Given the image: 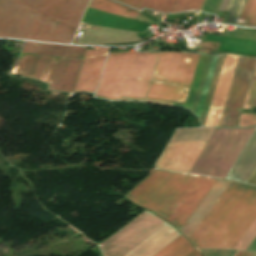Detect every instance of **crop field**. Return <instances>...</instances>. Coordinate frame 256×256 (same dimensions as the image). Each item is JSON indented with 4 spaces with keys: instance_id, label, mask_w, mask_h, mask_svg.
Instances as JSON below:
<instances>
[{
    "instance_id": "4a817a6b",
    "label": "crop field",
    "mask_w": 256,
    "mask_h": 256,
    "mask_svg": "<svg viewBox=\"0 0 256 256\" xmlns=\"http://www.w3.org/2000/svg\"><path fill=\"white\" fill-rule=\"evenodd\" d=\"M89 7L133 19H135L139 14L137 11L126 8L109 0H92Z\"/></svg>"
},
{
    "instance_id": "733c2abd",
    "label": "crop field",
    "mask_w": 256,
    "mask_h": 256,
    "mask_svg": "<svg viewBox=\"0 0 256 256\" xmlns=\"http://www.w3.org/2000/svg\"><path fill=\"white\" fill-rule=\"evenodd\" d=\"M214 131L208 128L177 130L171 142L208 141Z\"/></svg>"
},
{
    "instance_id": "4177f3b9",
    "label": "crop field",
    "mask_w": 256,
    "mask_h": 256,
    "mask_svg": "<svg viewBox=\"0 0 256 256\" xmlns=\"http://www.w3.org/2000/svg\"><path fill=\"white\" fill-rule=\"evenodd\" d=\"M256 125V114H241L237 127Z\"/></svg>"
},
{
    "instance_id": "5142ce71",
    "label": "crop field",
    "mask_w": 256,
    "mask_h": 256,
    "mask_svg": "<svg viewBox=\"0 0 256 256\" xmlns=\"http://www.w3.org/2000/svg\"><path fill=\"white\" fill-rule=\"evenodd\" d=\"M179 235L181 234L168 224L126 256H153Z\"/></svg>"
},
{
    "instance_id": "412701ff",
    "label": "crop field",
    "mask_w": 256,
    "mask_h": 256,
    "mask_svg": "<svg viewBox=\"0 0 256 256\" xmlns=\"http://www.w3.org/2000/svg\"><path fill=\"white\" fill-rule=\"evenodd\" d=\"M256 218V187L231 182L189 238L198 248L233 249Z\"/></svg>"
},
{
    "instance_id": "22f410ed",
    "label": "crop field",
    "mask_w": 256,
    "mask_h": 256,
    "mask_svg": "<svg viewBox=\"0 0 256 256\" xmlns=\"http://www.w3.org/2000/svg\"><path fill=\"white\" fill-rule=\"evenodd\" d=\"M256 168V129L235 161L226 178L247 183Z\"/></svg>"
},
{
    "instance_id": "d8731c3e",
    "label": "crop field",
    "mask_w": 256,
    "mask_h": 256,
    "mask_svg": "<svg viewBox=\"0 0 256 256\" xmlns=\"http://www.w3.org/2000/svg\"><path fill=\"white\" fill-rule=\"evenodd\" d=\"M224 56L225 55L220 56L219 58L218 57H213L212 58L210 56L207 57V56H201L200 55L198 63H197V67H196V70H195V73H194V76H193V79H192V83H191V86H190V89H189V92H188V95H187V99H186V103H185L184 108L190 109L191 105H192V102H193V98H194L196 89H197V86H198V82H199L201 73H202V70H203V67H204V63H205V60H206V57H207L205 67H204V70H203V73H202V76H201V79H200V83H199V86H198V89H197V92H196V95H195V98H194V102H193V105H192V108H191L193 113H195V109H196V106H197V103H198V99H199L200 92H201V89H202V86H203V82H204V79H205V76H206L211 58H212V61H211V64H210V67H209V70H208V73H207V76H206V79H205V82H204V86H203V89H202V92H201L199 103H198V106H197V109H196V113H195V115L198 118H200L201 111H202V108H203V105H204V101H205V98H206V95H207V91H208L210 81H211V78H212V75H213V71H214V68H215V65H216V61H217V58H218L217 65H216V68H215V71H214V75H213V78H212V81H211V85H210L208 95H207V98H206V101H205V105H204V108H203V111H202V115H201V118H200L203 125H204V122H205V118H206V115H207V112H208V108H209V105H210V102H211V99H212L214 89H215V86H216V82H217V79H218V76H219V72H220V69H221V66H222V63H223Z\"/></svg>"
},
{
    "instance_id": "dafd665d",
    "label": "crop field",
    "mask_w": 256,
    "mask_h": 256,
    "mask_svg": "<svg viewBox=\"0 0 256 256\" xmlns=\"http://www.w3.org/2000/svg\"><path fill=\"white\" fill-rule=\"evenodd\" d=\"M203 0H176L171 12L197 9L201 7Z\"/></svg>"
},
{
    "instance_id": "730fd06b",
    "label": "crop field",
    "mask_w": 256,
    "mask_h": 256,
    "mask_svg": "<svg viewBox=\"0 0 256 256\" xmlns=\"http://www.w3.org/2000/svg\"><path fill=\"white\" fill-rule=\"evenodd\" d=\"M219 43H212V42H204L199 44V48H205V49H215L217 50Z\"/></svg>"
},
{
    "instance_id": "8a807250",
    "label": "crop field",
    "mask_w": 256,
    "mask_h": 256,
    "mask_svg": "<svg viewBox=\"0 0 256 256\" xmlns=\"http://www.w3.org/2000/svg\"><path fill=\"white\" fill-rule=\"evenodd\" d=\"M160 53V52H159ZM199 55L190 53L109 54L96 96L143 97L155 57H160L147 98L184 103Z\"/></svg>"
},
{
    "instance_id": "cbeb9de0",
    "label": "crop field",
    "mask_w": 256,
    "mask_h": 256,
    "mask_svg": "<svg viewBox=\"0 0 256 256\" xmlns=\"http://www.w3.org/2000/svg\"><path fill=\"white\" fill-rule=\"evenodd\" d=\"M230 182L218 180L208 195L204 198L195 212L191 215L188 221L180 230L183 234H185L188 238L229 185Z\"/></svg>"
},
{
    "instance_id": "34b2d1b8",
    "label": "crop field",
    "mask_w": 256,
    "mask_h": 256,
    "mask_svg": "<svg viewBox=\"0 0 256 256\" xmlns=\"http://www.w3.org/2000/svg\"><path fill=\"white\" fill-rule=\"evenodd\" d=\"M215 182L214 179L155 171L127 197L174 223L180 230Z\"/></svg>"
},
{
    "instance_id": "ac0d7876",
    "label": "crop field",
    "mask_w": 256,
    "mask_h": 256,
    "mask_svg": "<svg viewBox=\"0 0 256 256\" xmlns=\"http://www.w3.org/2000/svg\"><path fill=\"white\" fill-rule=\"evenodd\" d=\"M89 0H0V37L70 43Z\"/></svg>"
},
{
    "instance_id": "d9b57169",
    "label": "crop field",
    "mask_w": 256,
    "mask_h": 256,
    "mask_svg": "<svg viewBox=\"0 0 256 256\" xmlns=\"http://www.w3.org/2000/svg\"><path fill=\"white\" fill-rule=\"evenodd\" d=\"M154 256H202L181 235Z\"/></svg>"
},
{
    "instance_id": "5a996713",
    "label": "crop field",
    "mask_w": 256,
    "mask_h": 256,
    "mask_svg": "<svg viewBox=\"0 0 256 256\" xmlns=\"http://www.w3.org/2000/svg\"><path fill=\"white\" fill-rule=\"evenodd\" d=\"M256 59L239 57L218 126H235L239 117Z\"/></svg>"
},
{
    "instance_id": "00972430",
    "label": "crop field",
    "mask_w": 256,
    "mask_h": 256,
    "mask_svg": "<svg viewBox=\"0 0 256 256\" xmlns=\"http://www.w3.org/2000/svg\"><path fill=\"white\" fill-rule=\"evenodd\" d=\"M256 235V220L253 222V224L250 226V228L247 230V232L244 234V236L241 238V240L238 242V244L235 246L234 249H243L248 246V244L251 242V240Z\"/></svg>"
},
{
    "instance_id": "214f88e0",
    "label": "crop field",
    "mask_w": 256,
    "mask_h": 256,
    "mask_svg": "<svg viewBox=\"0 0 256 256\" xmlns=\"http://www.w3.org/2000/svg\"><path fill=\"white\" fill-rule=\"evenodd\" d=\"M229 0H223L219 10L225 11ZM246 0H230L226 11H230L225 23L234 24L239 19L244 8Z\"/></svg>"
},
{
    "instance_id": "ae1a2a85",
    "label": "crop field",
    "mask_w": 256,
    "mask_h": 256,
    "mask_svg": "<svg viewBox=\"0 0 256 256\" xmlns=\"http://www.w3.org/2000/svg\"><path fill=\"white\" fill-rule=\"evenodd\" d=\"M251 253H247V252H244V251H239L235 256H250Z\"/></svg>"
},
{
    "instance_id": "e52e79f7",
    "label": "crop field",
    "mask_w": 256,
    "mask_h": 256,
    "mask_svg": "<svg viewBox=\"0 0 256 256\" xmlns=\"http://www.w3.org/2000/svg\"><path fill=\"white\" fill-rule=\"evenodd\" d=\"M166 224L168 223L145 210L99 246L104 256H124Z\"/></svg>"
},
{
    "instance_id": "bc2a9ffb",
    "label": "crop field",
    "mask_w": 256,
    "mask_h": 256,
    "mask_svg": "<svg viewBox=\"0 0 256 256\" xmlns=\"http://www.w3.org/2000/svg\"><path fill=\"white\" fill-rule=\"evenodd\" d=\"M129 6L142 9L143 6L158 11L170 12L175 0H117Z\"/></svg>"
},
{
    "instance_id": "dd49c442",
    "label": "crop field",
    "mask_w": 256,
    "mask_h": 256,
    "mask_svg": "<svg viewBox=\"0 0 256 256\" xmlns=\"http://www.w3.org/2000/svg\"><path fill=\"white\" fill-rule=\"evenodd\" d=\"M254 129H216L190 173L225 178Z\"/></svg>"
},
{
    "instance_id": "28ad6ade",
    "label": "crop field",
    "mask_w": 256,
    "mask_h": 256,
    "mask_svg": "<svg viewBox=\"0 0 256 256\" xmlns=\"http://www.w3.org/2000/svg\"><path fill=\"white\" fill-rule=\"evenodd\" d=\"M239 56L226 54L204 126H217Z\"/></svg>"
},
{
    "instance_id": "f4fd0767",
    "label": "crop field",
    "mask_w": 256,
    "mask_h": 256,
    "mask_svg": "<svg viewBox=\"0 0 256 256\" xmlns=\"http://www.w3.org/2000/svg\"><path fill=\"white\" fill-rule=\"evenodd\" d=\"M85 47L25 42L9 74L50 83L49 89L72 92Z\"/></svg>"
},
{
    "instance_id": "d1516ede",
    "label": "crop field",
    "mask_w": 256,
    "mask_h": 256,
    "mask_svg": "<svg viewBox=\"0 0 256 256\" xmlns=\"http://www.w3.org/2000/svg\"><path fill=\"white\" fill-rule=\"evenodd\" d=\"M108 48L87 51L74 91H95Z\"/></svg>"
},
{
    "instance_id": "a9b5d70f",
    "label": "crop field",
    "mask_w": 256,
    "mask_h": 256,
    "mask_svg": "<svg viewBox=\"0 0 256 256\" xmlns=\"http://www.w3.org/2000/svg\"><path fill=\"white\" fill-rule=\"evenodd\" d=\"M249 106H256V68L252 78L251 86L247 95L244 108L248 109Z\"/></svg>"
},
{
    "instance_id": "92a150f3",
    "label": "crop field",
    "mask_w": 256,
    "mask_h": 256,
    "mask_svg": "<svg viewBox=\"0 0 256 256\" xmlns=\"http://www.w3.org/2000/svg\"><path fill=\"white\" fill-rule=\"evenodd\" d=\"M240 19L248 20L247 25L256 26V0H247Z\"/></svg>"
},
{
    "instance_id": "3316defc",
    "label": "crop field",
    "mask_w": 256,
    "mask_h": 256,
    "mask_svg": "<svg viewBox=\"0 0 256 256\" xmlns=\"http://www.w3.org/2000/svg\"><path fill=\"white\" fill-rule=\"evenodd\" d=\"M206 142L169 143L157 168L189 173Z\"/></svg>"
},
{
    "instance_id": "d3111659",
    "label": "crop field",
    "mask_w": 256,
    "mask_h": 256,
    "mask_svg": "<svg viewBox=\"0 0 256 256\" xmlns=\"http://www.w3.org/2000/svg\"><path fill=\"white\" fill-rule=\"evenodd\" d=\"M252 31L256 32L255 30H252Z\"/></svg>"
},
{
    "instance_id": "eef30255",
    "label": "crop field",
    "mask_w": 256,
    "mask_h": 256,
    "mask_svg": "<svg viewBox=\"0 0 256 256\" xmlns=\"http://www.w3.org/2000/svg\"><path fill=\"white\" fill-rule=\"evenodd\" d=\"M249 184H253L256 185V170L254 171L253 175L251 176V178L248 181Z\"/></svg>"
}]
</instances>
